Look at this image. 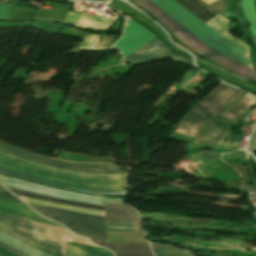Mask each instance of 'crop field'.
I'll list each match as a JSON object with an SVG mask.
<instances>
[{
  "label": "crop field",
  "instance_id": "17",
  "mask_svg": "<svg viewBox=\"0 0 256 256\" xmlns=\"http://www.w3.org/2000/svg\"><path fill=\"white\" fill-rule=\"evenodd\" d=\"M65 253L67 256H112L111 252L87 245L66 242Z\"/></svg>",
  "mask_w": 256,
  "mask_h": 256
},
{
  "label": "crop field",
  "instance_id": "19",
  "mask_svg": "<svg viewBox=\"0 0 256 256\" xmlns=\"http://www.w3.org/2000/svg\"><path fill=\"white\" fill-rule=\"evenodd\" d=\"M254 103L255 101H253V98L246 94L218 117L233 121L241 116L244 110L252 106Z\"/></svg>",
  "mask_w": 256,
  "mask_h": 256
},
{
  "label": "crop field",
  "instance_id": "21",
  "mask_svg": "<svg viewBox=\"0 0 256 256\" xmlns=\"http://www.w3.org/2000/svg\"><path fill=\"white\" fill-rule=\"evenodd\" d=\"M0 172L1 173H5V174H9V175H13V176H16V177H19V178L35 181V182H38V183L46 184V185H51V186H56V187H61V188H66V189H72V190H77V191L91 192V193H100V194H122V192L101 191V190L84 189V188H77V187L53 184V183H49V182L33 179V178H30V177H26V176H23V175H20V174H16V173H13V172H9V171H6V170H2V169H0Z\"/></svg>",
  "mask_w": 256,
  "mask_h": 256
},
{
  "label": "crop field",
  "instance_id": "2",
  "mask_svg": "<svg viewBox=\"0 0 256 256\" xmlns=\"http://www.w3.org/2000/svg\"><path fill=\"white\" fill-rule=\"evenodd\" d=\"M207 45L251 68L248 51L220 37L174 0H151Z\"/></svg>",
  "mask_w": 256,
  "mask_h": 256
},
{
  "label": "crop field",
  "instance_id": "4",
  "mask_svg": "<svg viewBox=\"0 0 256 256\" xmlns=\"http://www.w3.org/2000/svg\"><path fill=\"white\" fill-rule=\"evenodd\" d=\"M239 93L241 91L220 84L188 112L177 132L195 137L204 122Z\"/></svg>",
  "mask_w": 256,
  "mask_h": 256
},
{
  "label": "crop field",
  "instance_id": "6",
  "mask_svg": "<svg viewBox=\"0 0 256 256\" xmlns=\"http://www.w3.org/2000/svg\"><path fill=\"white\" fill-rule=\"evenodd\" d=\"M0 183L7 187L23 189V190H27V191H31L39 194H44V195L64 198V199H71V200L81 201V202H89V203H96V204H102V205H104V203H112V204L124 203L122 199L71 193V192H67L59 189H54L50 187L40 186V185H36V184L24 182V181L12 179L2 175H0Z\"/></svg>",
  "mask_w": 256,
  "mask_h": 256
},
{
  "label": "crop field",
  "instance_id": "11",
  "mask_svg": "<svg viewBox=\"0 0 256 256\" xmlns=\"http://www.w3.org/2000/svg\"><path fill=\"white\" fill-rule=\"evenodd\" d=\"M167 53L172 55L175 58V60H177V61L191 64V61L189 59L179 56V55L173 53L172 51H170L166 47V45L162 41H160L158 38L155 39L154 41L150 42L146 46H144L142 49H140L139 51L134 53L132 56H130L126 60L136 64L146 58L156 57V56H160V55L167 54Z\"/></svg>",
  "mask_w": 256,
  "mask_h": 256
},
{
  "label": "crop field",
  "instance_id": "13",
  "mask_svg": "<svg viewBox=\"0 0 256 256\" xmlns=\"http://www.w3.org/2000/svg\"><path fill=\"white\" fill-rule=\"evenodd\" d=\"M94 244L110 249L115 256H153L148 244H120L91 239Z\"/></svg>",
  "mask_w": 256,
  "mask_h": 256
},
{
  "label": "crop field",
  "instance_id": "14",
  "mask_svg": "<svg viewBox=\"0 0 256 256\" xmlns=\"http://www.w3.org/2000/svg\"><path fill=\"white\" fill-rule=\"evenodd\" d=\"M64 23L74 25L79 28L109 29L113 21L69 11Z\"/></svg>",
  "mask_w": 256,
  "mask_h": 256
},
{
  "label": "crop field",
  "instance_id": "28",
  "mask_svg": "<svg viewBox=\"0 0 256 256\" xmlns=\"http://www.w3.org/2000/svg\"><path fill=\"white\" fill-rule=\"evenodd\" d=\"M115 38V35H101L94 50H101L108 48L110 43L113 41Z\"/></svg>",
  "mask_w": 256,
  "mask_h": 256
},
{
  "label": "crop field",
  "instance_id": "23",
  "mask_svg": "<svg viewBox=\"0 0 256 256\" xmlns=\"http://www.w3.org/2000/svg\"><path fill=\"white\" fill-rule=\"evenodd\" d=\"M0 208L2 209H6V210H10L13 212H17V213H21V214H25V215H29V216H33V217H37V218H41L44 219L40 216H38L32 209H30L29 207L25 206V205H21L18 203H14L5 199L0 198ZM46 220V219H45Z\"/></svg>",
  "mask_w": 256,
  "mask_h": 256
},
{
  "label": "crop field",
  "instance_id": "34",
  "mask_svg": "<svg viewBox=\"0 0 256 256\" xmlns=\"http://www.w3.org/2000/svg\"><path fill=\"white\" fill-rule=\"evenodd\" d=\"M0 197H3V198H5V199H9V200H13V201H16V202H19V203H22V204H24L21 200H18V199H13V198H9V197H7V196H4V195H1L0 194Z\"/></svg>",
  "mask_w": 256,
  "mask_h": 256
},
{
  "label": "crop field",
  "instance_id": "20",
  "mask_svg": "<svg viewBox=\"0 0 256 256\" xmlns=\"http://www.w3.org/2000/svg\"><path fill=\"white\" fill-rule=\"evenodd\" d=\"M0 240L4 243L30 255V256H43L44 252L16 239L3 232H0Z\"/></svg>",
  "mask_w": 256,
  "mask_h": 256
},
{
  "label": "crop field",
  "instance_id": "5",
  "mask_svg": "<svg viewBox=\"0 0 256 256\" xmlns=\"http://www.w3.org/2000/svg\"><path fill=\"white\" fill-rule=\"evenodd\" d=\"M30 206L40 214L66 226L77 235L107 240L104 217L84 215L45 206Z\"/></svg>",
  "mask_w": 256,
  "mask_h": 256
},
{
  "label": "crop field",
  "instance_id": "35",
  "mask_svg": "<svg viewBox=\"0 0 256 256\" xmlns=\"http://www.w3.org/2000/svg\"><path fill=\"white\" fill-rule=\"evenodd\" d=\"M205 2H207L208 4H210V3H212V2H214V1H216V0H211V1H209V0H204Z\"/></svg>",
  "mask_w": 256,
  "mask_h": 256
},
{
  "label": "crop field",
  "instance_id": "16",
  "mask_svg": "<svg viewBox=\"0 0 256 256\" xmlns=\"http://www.w3.org/2000/svg\"><path fill=\"white\" fill-rule=\"evenodd\" d=\"M205 24L217 17L218 14L201 0H176Z\"/></svg>",
  "mask_w": 256,
  "mask_h": 256
},
{
  "label": "crop field",
  "instance_id": "8",
  "mask_svg": "<svg viewBox=\"0 0 256 256\" xmlns=\"http://www.w3.org/2000/svg\"><path fill=\"white\" fill-rule=\"evenodd\" d=\"M0 220L7 223L10 226V228L21 233L22 235L38 243L46 245L54 250L61 252V248H62L61 243L43 235L45 228L33 226L31 225V221L29 220H25V219L13 217V216L1 214V213H0Z\"/></svg>",
  "mask_w": 256,
  "mask_h": 256
},
{
  "label": "crop field",
  "instance_id": "29",
  "mask_svg": "<svg viewBox=\"0 0 256 256\" xmlns=\"http://www.w3.org/2000/svg\"><path fill=\"white\" fill-rule=\"evenodd\" d=\"M56 157L67 159V160L83 161L84 162L85 158H86V155H78V154L59 151Z\"/></svg>",
  "mask_w": 256,
  "mask_h": 256
},
{
  "label": "crop field",
  "instance_id": "15",
  "mask_svg": "<svg viewBox=\"0 0 256 256\" xmlns=\"http://www.w3.org/2000/svg\"><path fill=\"white\" fill-rule=\"evenodd\" d=\"M105 221L112 222H140L138 213L126 205L105 204Z\"/></svg>",
  "mask_w": 256,
  "mask_h": 256
},
{
  "label": "crop field",
  "instance_id": "10",
  "mask_svg": "<svg viewBox=\"0 0 256 256\" xmlns=\"http://www.w3.org/2000/svg\"><path fill=\"white\" fill-rule=\"evenodd\" d=\"M245 93H241L235 99H233L230 103H228L225 107L211 116L203 127L200 129L194 143L200 145H206L214 147L216 141L218 140L221 133L224 131L225 127L218 125V120L215 118L221 114L224 110H226L229 106L235 103L238 99H240Z\"/></svg>",
  "mask_w": 256,
  "mask_h": 256
},
{
  "label": "crop field",
  "instance_id": "18",
  "mask_svg": "<svg viewBox=\"0 0 256 256\" xmlns=\"http://www.w3.org/2000/svg\"><path fill=\"white\" fill-rule=\"evenodd\" d=\"M8 189H10L12 192H14L15 194H17L19 196H22V197L34 198V199H39V200L56 202V203H60V204L75 205V206H80V207H84V208H90V209L105 211L104 206H101V205L74 202V201L57 199V198H53V197L43 196V195L30 193V192H25V191L16 190V189H11V188H8Z\"/></svg>",
  "mask_w": 256,
  "mask_h": 256
},
{
  "label": "crop field",
  "instance_id": "7",
  "mask_svg": "<svg viewBox=\"0 0 256 256\" xmlns=\"http://www.w3.org/2000/svg\"><path fill=\"white\" fill-rule=\"evenodd\" d=\"M0 151L5 152L10 155L26 158L29 160L58 166L64 167L69 169H76V170H84V171H93L99 173H128L127 171L119 172L113 164H89V163H71L65 162L61 160L54 159L53 157H47L43 155H39L33 152H29L5 143L0 142Z\"/></svg>",
  "mask_w": 256,
  "mask_h": 256
},
{
  "label": "crop field",
  "instance_id": "3",
  "mask_svg": "<svg viewBox=\"0 0 256 256\" xmlns=\"http://www.w3.org/2000/svg\"><path fill=\"white\" fill-rule=\"evenodd\" d=\"M0 168L53 183L111 191H124L125 189L126 180H100L61 175L15 163L2 157H0Z\"/></svg>",
  "mask_w": 256,
  "mask_h": 256
},
{
  "label": "crop field",
  "instance_id": "36",
  "mask_svg": "<svg viewBox=\"0 0 256 256\" xmlns=\"http://www.w3.org/2000/svg\"><path fill=\"white\" fill-rule=\"evenodd\" d=\"M44 256H51V255H49V254L46 253Z\"/></svg>",
  "mask_w": 256,
  "mask_h": 256
},
{
  "label": "crop field",
  "instance_id": "37",
  "mask_svg": "<svg viewBox=\"0 0 256 256\" xmlns=\"http://www.w3.org/2000/svg\"><path fill=\"white\" fill-rule=\"evenodd\" d=\"M0 188L5 189V188H4V187H2L1 185H0Z\"/></svg>",
  "mask_w": 256,
  "mask_h": 256
},
{
  "label": "crop field",
  "instance_id": "9",
  "mask_svg": "<svg viewBox=\"0 0 256 256\" xmlns=\"http://www.w3.org/2000/svg\"><path fill=\"white\" fill-rule=\"evenodd\" d=\"M134 22L131 19L126 22L123 37L115 45V47H117L122 52L123 57H126L156 37Z\"/></svg>",
  "mask_w": 256,
  "mask_h": 256
},
{
  "label": "crop field",
  "instance_id": "25",
  "mask_svg": "<svg viewBox=\"0 0 256 256\" xmlns=\"http://www.w3.org/2000/svg\"><path fill=\"white\" fill-rule=\"evenodd\" d=\"M107 230L138 231L136 223L105 222Z\"/></svg>",
  "mask_w": 256,
  "mask_h": 256
},
{
  "label": "crop field",
  "instance_id": "1",
  "mask_svg": "<svg viewBox=\"0 0 256 256\" xmlns=\"http://www.w3.org/2000/svg\"><path fill=\"white\" fill-rule=\"evenodd\" d=\"M135 3L149 12L192 50L245 78L256 81V74L252 69L207 46L150 0H139L135 1Z\"/></svg>",
  "mask_w": 256,
  "mask_h": 256
},
{
  "label": "crop field",
  "instance_id": "31",
  "mask_svg": "<svg viewBox=\"0 0 256 256\" xmlns=\"http://www.w3.org/2000/svg\"><path fill=\"white\" fill-rule=\"evenodd\" d=\"M12 5L0 4V21H6Z\"/></svg>",
  "mask_w": 256,
  "mask_h": 256
},
{
  "label": "crop field",
  "instance_id": "30",
  "mask_svg": "<svg viewBox=\"0 0 256 256\" xmlns=\"http://www.w3.org/2000/svg\"><path fill=\"white\" fill-rule=\"evenodd\" d=\"M0 212L5 213V214H9V215H13V216H17V217H21V218H25V219H29V220H33V221H37V222H41V223H45V224H49V225H53V226L61 227V226H59L55 223H51V222H48V221H45V220H41V219H37V218H33V217L21 215V214H17V213H13V212L1 210V209H0Z\"/></svg>",
  "mask_w": 256,
  "mask_h": 256
},
{
  "label": "crop field",
  "instance_id": "38",
  "mask_svg": "<svg viewBox=\"0 0 256 256\" xmlns=\"http://www.w3.org/2000/svg\"><path fill=\"white\" fill-rule=\"evenodd\" d=\"M0 256H2V255H0Z\"/></svg>",
  "mask_w": 256,
  "mask_h": 256
},
{
  "label": "crop field",
  "instance_id": "24",
  "mask_svg": "<svg viewBox=\"0 0 256 256\" xmlns=\"http://www.w3.org/2000/svg\"><path fill=\"white\" fill-rule=\"evenodd\" d=\"M0 231L6 232V233H8V234L18 238V239H20V240L30 244V245H33V246H35V247H37V248H39V249H41V250H43L45 252H48V253L52 254L54 256H64V255H62L60 253H57V252H55V251H53V250H51V249H49V248H47L45 246H42V245H40L38 243H35V242H33V241H31V240H29V239H27V238L17 234L16 232L10 230L8 228V226L3 224V223H0Z\"/></svg>",
  "mask_w": 256,
  "mask_h": 256
},
{
  "label": "crop field",
  "instance_id": "27",
  "mask_svg": "<svg viewBox=\"0 0 256 256\" xmlns=\"http://www.w3.org/2000/svg\"><path fill=\"white\" fill-rule=\"evenodd\" d=\"M99 35H92V34H86L85 38L83 39L79 49H88L92 50L95 42L97 41Z\"/></svg>",
  "mask_w": 256,
  "mask_h": 256
},
{
  "label": "crop field",
  "instance_id": "33",
  "mask_svg": "<svg viewBox=\"0 0 256 256\" xmlns=\"http://www.w3.org/2000/svg\"><path fill=\"white\" fill-rule=\"evenodd\" d=\"M0 193H1V194H4V195H7V196H9V197L17 198V197L14 196L12 193H10L9 191H6V190L0 189Z\"/></svg>",
  "mask_w": 256,
  "mask_h": 256
},
{
  "label": "crop field",
  "instance_id": "26",
  "mask_svg": "<svg viewBox=\"0 0 256 256\" xmlns=\"http://www.w3.org/2000/svg\"><path fill=\"white\" fill-rule=\"evenodd\" d=\"M230 132H231V131L226 128V130H225V131L223 132V134L220 136V138H219L218 142L216 143L215 147L230 148V145H231L232 141L234 140V138H235V136H236V135H234V137L232 138L230 144L227 146L229 140H230L231 137L233 136V133H232V135L230 136V138L228 139V141H227L226 144L224 145V142H225L227 136L230 134ZM238 143H239V137H237V139H236V141H235V143H234V145H233L232 148H236L237 145H238Z\"/></svg>",
  "mask_w": 256,
  "mask_h": 256
},
{
  "label": "crop field",
  "instance_id": "22",
  "mask_svg": "<svg viewBox=\"0 0 256 256\" xmlns=\"http://www.w3.org/2000/svg\"><path fill=\"white\" fill-rule=\"evenodd\" d=\"M155 256H192L189 251L174 249L167 245L150 244Z\"/></svg>",
  "mask_w": 256,
  "mask_h": 256
},
{
  "label": "crop field",
  "instance_id": "32",
  "mask_svg": "<svg viewBox=\"0 0 256 256\" xmlns=\"http://www.w3.org/2000/svg\"><path fill=\"white\" fill-rule=\"evenodd\" d=\"M0 246L3 247L4 249H6L7 251H9V252H11V253L17 255V256H27V255L23 254L22 252H20V251H18V250H16V249H14V248H12V247H10V246L4 244V243L1 242V241H0Z\"/></svg>",
  "mask_w": 256,
  "mask_h": 256
},
{
  "label": "crop field",
  "instance_id": "12",
  "mask_svg": "<svg viewBox=\"0 0 256 256\" xmlns=\"http://www.w3.org/2000/svg\"><path fill=\"white\" fill-rule=\"evenodd\" d=\"M0 156L20 162V163H24V164H27V165H30L33 167H37V168H41V169H45V170H49V171H54V172L65 173V174H69V175H75V176L102 178V179H126V176H127V174H113V173L99 174V173H93V172H83V171L60 169V168L44 165L41 163H37V162L17 158L14 156H10V155L4 154L2 152H0Z\"/></svg>",
  "mask_w": 256,
  "mask_h": 256
}]
</instances>
